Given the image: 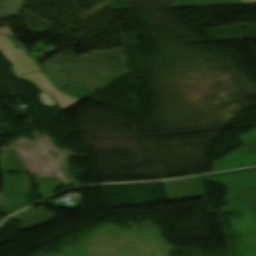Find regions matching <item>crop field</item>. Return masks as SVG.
Masks as SVG:
<instances>
[{
  "instance_id": "1",
  "label": "crop field",
  "mask_w": 256,
  "mask_h": 256,
  "mask_svg": "<svg viewBox=\"0 0 256 256\" xmlns=\"http://www.w3.org/2000/svg\"><path fill=\"white\" fill-rule=\"evenodd\" d=\"M0 162L4 170L3 194L12 204L7 209L0 208V212H14L29 205L25 195L30 192V177L25 176L16 151H1ZM6 171H17L23 176L10 177Z\"/></svg>"
},
{
  "instance_id": "2",
  "label": "crop field",
  "mask_w": 256,
  "mask_h": 256,
  "mask_svg": "<svg viewBox=\"0 0 256 256\" xmlns=\"http://www.w3.org/2000/svg\"><path fill=\"white\" fill-rule=\"evenodd\" d=\"M15 45L4 35L0 37V51L12 63L15 76L38 70L32 57L26 55L22 49H12Z\"/></svg>"
},
{
  "instance_id": "3",
  "label": "crop field",
  "mask_w": 256,
  "mask_h": 256,
  "mask_svg": "<svg viewBox=\"0 0 256 256\" xmlns=\"http://www.w3.org/2000/svg\"><path fill=\"white\" fill-rule=\"evenodd\" d=\"M19 78L32 82L42 92L50 93L54 97V99L58 102L62 111H65L66 109L70 108L74 104L81 101L73 96H69V95H66V94L58 91L56 88H54L50 84L48 77H46L40 71L31 73V74H27V75L19 77Z\"/></svg>"
},
{
  "instance_id": "4",
  "label": "crop field",
  "mask_w": 256,
  "mask_h": 256,
  "mask_svg": "<svg viewBox=\"0 0 256 256\" xmlns=\"http://www.w3.org/2000/svg\"><path fill=\"white\" fill-rule=\"evenodd\" d=\"M56 217V215L52 214L51 212L38 207L29 209L24 211L14 217L12 219L18 220L22 223L21 231L37 227L43 224H46L51 221L52 218Z\"/></svg>"
},
{
  "instance_id": "5",
  "label": "crop field",
  "mask_w": 256,
  "mask_h": 256,
  "mask_svg": "<svg viewBox=\"0 0 256 256\" xmlns=\"http://www.w3.org/2000/svg\"><path fill=\"white\" fill-rule=\"evenodd\" d=\"M37 182L42 197H47L54 193V191L61 187V183L57 178H39L35 179Z\"/></svg>"
},
{
  "instance_id": "6",
  "label": "crop field",
  "mask_w": 256,
  "mask_h": 256,
  "mask_svg": "<svg viewBox=\"0 0 256 256\" xmlns=\"http://www.w3.org/2000/svg\"><path fill=\"white\" fill-rule=\"evenodd\" d=\"M68 197H70L73 200L75 205L63 206V205H60L59 203H55V204H51V205L58 206V207H64V208H67V209H70V210H74V209H76V208H78L82 205V199H81L80 195L71 194Z\"/></svg>"
},
{
  "instance_id": "7",
  "label": "crop field",
  "mask_w": 256,
  "mask_h": 256,
  "mask_svg": "<svg viewBox=\"0 0 256 256\" xmlns=\"http://www.w3.org/2000/svg\"><path fill=\"white\" fill-rule=\"evenodd\" d=\"M39 99L42 101L44 106H51V105H56L55 101L52 99V97L48 94L41 93L39 94Z\"/></svg>"
},
{
  "instance_id": "8",
  "label": "crop field",
  "mask_w": 256,
  "mask_h": 256,
  "mask_svg": "<svg viewBox=\"0 0 256 256\" xmlns=\"http://www.w3.org/2000/svg\"><path fill=\"white\" fill-rule=\"evenodd\" d=\"M243 2L245 3V5H248V4L256 3V0H243Z\"/></svg>"
}]
</instances>
